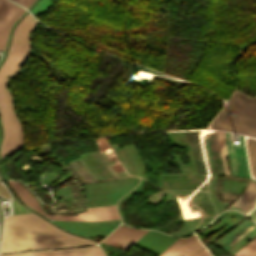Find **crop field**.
Segmentation results:
<instances>
[{"mask_svg":"<svg viewBox=\"0 0 256 256\" xmlns=\"http://www.w3.org/2000/svg\"><path fill=\"white\" fill-rule=\"evenodd\" d=\"M85 244L96 243L70 235L34 213L18 214L5 218L0 253Z\"/></svg>","mask_w":256,"mask_h":256,"instance_id":"crop-field-1","label":"crop field"},{"mask_svg":"<svg viewBox=\"0 0 256 256\" xmlns=\"http://www.w3.org/2000/svg\"><path fill=\"white\" fill-rule=\"evenodd\" d=\"M27 56L8 54L5 62L0 67V120L3 130V139L0 147L1 157L12 155L23 147V131L12 110V97L5 84L7 79L23 66Z\"/></svg>","mask_w":256,"mask_h":256,"instance_id":"crop-field-2","label":"crop field"},{"mask_svg":"<svg viewBox=\"0 0 256 256\" xmlns=\"http://www.w3.org/2000/svg\"><path fill=\"white\" fill-rule=\"evenodd\" d=\"M227 104L247 136L256 138V97L250 99L235 92ZM210 127L214 130L244 134L226 105L212 121Z\"/></svg>","mask_w":256,"mask_h":256,"instance_id":"crop-field-3","label":"crop field"},{"mask_svg":"<svg viewBox=\"0 0 256 256\" xmlns=\"http://www.w3.org/2000/svg\"><path fill=\"white\" fill-rule=\"evenodd\" d=\"M9 185L21 198V200L27 204L30 208L43 214L51 220H87V221H104V220H115L120 219L117 212L116 206H104L97 208L86 209L87 212L80 213L79 216H63V215H47L40 207L33 195H31L21 184L15 181H8ZM42 215V216H43Z\"/></svg>","mask_w":256,"mask_h":256,"instance_id":"crop-field-4","label":"crop field"},{"mask_svg":"<svg viewBox=\"0 0 256 256\" xmlns=\"http://www.w3.org/2000/svg\"><path fill=\"white\" fill-rule=\"evenodd\" d=\"M25 10L8 0H0V51L4 50L11 27Z\"/></svg>","mask_w":256,"mask_h":256,"instance_id":"crop-field-5","label":"crop field"},{"mask_svg":"<svg viewBox=\"0 0 256 256\" xmlns=\"http://www.w3.org/2000/svg\"><path fill=\"white\" fill-rule=\"evenodd\" d=\"M148 230H134L126 227L119 226L113 233H111L103 242L127 250L133 245L143 234Z\"/></svg>","mask_w":256,"mask_h":256,"instance_id":"crop-field-6","label":"crop field"},{"mask_svg":"<svg viewBox=\"0 0 256 256\" xmlns=\"http://www.w3.org/2000/svg\"><path fill=\"white\" fill-rule=\"evenodd\" d=\"M224 134L227 142L232 175L250 177L242 136L239 135L241 145L234 147L228 143V133Z\"/></svg>","mask_w":256,"mask_h":256,"instance_id":"crop-field-7","label":"crop field"},{"mask_svg":"<svg viewBox=\"0 0 256 256\" xmlns=\"http://www.w3.org/2000/svg\"><path fill=\"white\" fill-rule=\"evenodd\" d=\"M3 256H106L99 246L3 255Z\"/></svg>","mask_w":256,"mask_h":256,"instance_id":"crop-field-8","label":"crop field"},{"mask_svg":"<svg viewBox=\"0 0 256 256\" xmlns=\"http://www.w3.org/2000/svg\"><path fill=\"white\" fill-rule=\"evenodd\" d=\"M255 204H256V180L251 179L249 180L241 196L237 199V201L233 205H231L227 209H234L243 213L245 210L253 208Z\"/></svg>","mask_w":256,"mask_h":256,"instance_id":"crop-field-9","label":"crop field"},{"mask_svg":"<svg viewBox=\"0 0 256 256\" xmlns=\"http://www.w3.org/2000/svg\"><path fill=\"white\" fill-rule=\"evenodd\" d=\"M35 23V19L28 13L17 25L11 43L29 44L28 33Z\"/></svg>","mask_w":256,"mask_h":256,"instance_id":"crop-field-10","label":"crop field"},{"mask_svg":"<svg viewBox=\"0 0 256 256\" xmlns=\"http://www.w3.org/2000/svg\"><path fill=\"white\" fill-rule=\"evenodd\" d=\"M246 147H247L251 175L256 177V140L249 138L246 143Z\"/></svg>","mask_w":256,"mask_h":256,"instance_id":"crop-field-11","label":"crop field"},{"mask_svg":"<svg viewBox=\"0 0 256 256\" xmlns=\"http://www.w3.org/2000/svg\"><path fill=\"white\" fill-rule=\"evenodd\" d=\"M216 133H217L224 173H225V175H230L229 169H228V166L226 163L227 150H226V146H225L224 135H223V132L216 131Z\"/></svg>","mask_w":256,"mask_h":256,"instance_id":"crop-field-12","label":"crop field"},{"mask_svg":"<svg viewBox=\"0 0 256 256\" xmlns=\"http://www.w3.org/2000/svg\"><path fill=\"white\" fill-rule=\"evenodd\" d=\"M235 256H256V239L238 251Z\"/></svg>","mask_w":256,"mask_h":256,"instance_id":"crop-field-13","label":"crop field"},{"mask_svg":"<svg viewBox=\"0 0 256 256\" xmlns=\"http://www.w3.org/2000/svg\"><path fill=\"white\" fill-rule=\"evenodd\" d=\"M8 53L29 54V45L11 44Z\"/></svg>","mask_w":256,"mask_h":256,"instance_id":"crop-field-14","label":"crop field"},{"mask_svg":"<svg viewBox=\"0 0 256 256\" xmlns=\"http://www.w3.org/2000/svg\"><path fill=\"white\" fill-rule=\"evenodd\" d=\"M16 2H18L20 5L28 8L32 5V3L35 1V0H14Z\"/></svg>","mask_w":256,"mask_h":256,"instance_id":"crop-field-15","label":"crop field"},{"mask_svg":"<svg viewBox=\"0 0 256 256\" xmlns=\"http://www.w3.org/2000/svg\"><path fill=\"white\" fill-rule=\"evenodd\" d=\"M249 218L256 221V207L251 211V213L248 215Z\"/></svg>","mask_w":256,"mask_h":256,"instance_id":"crop-field-16","label":"crop field"},{"mask_svg":"<svg viewBox=\"0 0 256 256\" xmlns=\"http://www.w3.org/2000/svg\"><path fill=\"white\" fill-rule=\"evenodd\" d=\"M195 256H211L209 252L205 249L201 251L200 253L196 254Z\"/></svg>","mask_w":256,"mask_h":256,"instance_id":"crop-field-17","label":"crop field"}]
</instances>
